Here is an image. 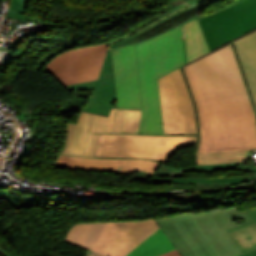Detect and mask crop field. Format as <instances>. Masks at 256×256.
Instances as JSON below:
<instances>
[{"instance_id": "obj_10", "label": "crop field", "mask_w": 256, "mask_h": 256, "mask_svg": "<svg viewBox=\"0 0 256 256\" xmlns=\"http://www.w3.org/2000/svg\"><path fill=\"white\" fill-rule=\"evenodd\" d=\"M65 88L68 91L94 89L88 104L82 110L108 116L111 107L117 108L111 50L106 54L98 80Z\"/></svg>"}, {"instance_id": "obj_16", "label": "crop field", "mask_w": 256, "mask_h": 256, "mask_svg": "<svg viewBox=\"0 0 256 256\" xmlns=\"http://www.w3.org/2000/svg\"><path fill=\"white\" fill-rule=\"evenodd\" d=\"M105 223H77L72 226L64 241L91 249Z\"/></svg>"}, {"instance_id": "obj_26", "label": "crop field", "mask_w": 256, "mask_h": 256, "mask_svg": "<svg viewBox=\"0 0 256 256\" xmlns=\"http://www.w3.org/2000/svg\"><path fill=\"white\" fill-rule=\"evenodd\" d=\"M161 256H181V255L177 252V250H175V251L168 252Z\"/></svg>"}, {"instance_id": "obj_1", "label": "crop field", "mask_w": 256, "mask_h": 256, "mask_svg": "<svg viewBox=\"0 0 256 256\" xmlns=\"http://www.w3.org/2000/svg\"><path fill=\"white\" fill-rule=\"evenodd\" d=\"M182 69L196 107L197 153L256 149V113L231 42Z\"/></svg>"}, {"instance_id": "obj_19", "label": "crop field", "mask_w": 256, "mask_h": 256, "mask_svg": "<svg viewBox=\"0 0 256 256\" xmlns=\"http://www.w3.org/2000/svg\"><path fill=\"white\" fill-rule=\"evenodd\" d=\"M202 1H205V0H175V1L171 2L168 6H166V7L163 8V12H164L165 14H160V15H158V16H152V17H150L149 19L145 20L142 25H140L139 27H137L135 31H138V30H140V29H142V28H144V27L150 25L151 23H153V22H155V21H157V20H159V19L164 18L165 16H167L168 14H170V13H172V12H175V11H177V10H180V9H182V8H185V7H187V6H190V5H192V4L200 3V2H202ZM135 31H134V32H135ZM131 33H133V32H130V33L126 34V35H129V34H131ZM116 40H117V39H116ZM113 41H114V40H113ZM111 42H112V41H110L109 44H110Z\"/></svg>"}, {"instance_id": "obj_22", "label": "crop field", "mask_w": 256, "mask_h": 256, "mask_svg": "<svg viewBox=\"0 0 256 256\" xmlns=\"http://www.w3.org/2000/svg\"><path fill=\"white\" fill-rule=\"evenodd\" d=\"M26 3L27 0H10L6 17L25 20Z\"/></svg>"}, {"instance_id": "obj_21", "label": "crop field", "mask_w": 256, "mask_h": 256, "mask_svg": "<svg viewBox=\"0 0 256 256\" xmlns=\"http://www.w3.org/2000/svg\"><path fill=\"white\" fill-rule=\"evenodd\" d=\"M142 110L126 109L123 133L138 134Z\"/></svg>"}, {"instance_id": "obj_15", "label": "crop field", "mask_w": 256, "mask_h": 256, "mask_svg": "<svg viewBox=\"0 0 256 256\" xmlns=\"http://www.w3.org/2000/svg\"><path fill=\"white\" fill-rule=\"evenodd\" d=\"M174 249L169 238L159 227L127 256H158Z\"/></svg>"}, {"instance_id": "obj_4", "label": "crop field", "mask_w": 256, "mask_h": 256, "mask_svg": "<svg viewBox=\"0 0 256 256\" xmlns=\"http://www.w3.org/2000/svg\"><path fill=\"white\" fill-rule=\"evenodd\" d=\"M197 136H145L101 134L95 157L151 158L166 164L183 147L195 145Z\"/></svg>"}, {"instance_id": "obj_28", "label": "crop field", "mask_w": 256, "mask_h": 256, "mask_svg": "<svg viewBox=\"0 0 256 256\" xmlns=\"http://www.w3.org/2000/svg\"><path fill=\"white\" fill-rule=\"evenodd\" d=\"M253 191H256V189L255 190H251V191H247V192H242V193H248V192H253ZM242 193H237V194H242ZM237 194H235V195H237Z\"/></svg>"}, {"instance_id": "obj_27", "label": "crop field", "mask_w": 256, "mask_h": 256, "mask_svg": "<svg viewBox=\"0 0 256 256\" xmlns=\"http://www.w3.org/2000/svg\"><path fill=\"white\" fill-rule=\"evenodd\" d=\"M240 256H256V249L245 254H242Z\"/></svg>"}, {"instance_id": "obj_24", "label": "crop field", "mask_w": 256, "mask_h": 256, "mask_svg": "<svg viewBox=\"0 0 256 256\" xmlns=\"http://www.w3.org/2000/svg\"><path fill=\"white\" fill-rule=\"evenodd\" d=\"M100 134H91L90 141H89V146H88V151H87V157H94L97 144H98V139H99Z\"/></svg>"}, {"instance_id": "obj_13", "label": "crop field", "mask_w": 256, "mask_h": 256, "mask_svg": "<svg viewBox=\"0 0 256 256\" xmlns=\"http://www.w3.org/2000/svg\"><path fill=\"white\" fill-rule=\"evenodd\" d=\"M220 170H241L249 171L252 173L250 177H219V178H205V177H193V178H159L160 175L168 176H180L185 175L187 171L193 172H208L212 173ZM253 178H256V168H243L240 169L238 163H229V164H219V165H196L189 168H173L161 164L159 170L154 174L153 180L158 181H172V182H181V183H193V184H236L241 182H247Z\"/></svg>"}, {"instance_id": "obj_7", "label": "crop field", "mask_w": 256, "mask_h": 256, "mask_svg": "<svg viewBox=\"0 0 256 256\" xmlns=\"http://www.w3.org/2000/svg\"><path fill=\"white\" fill-rule=\"evenodd\" d=\"M108 42L62 52L51 59L44 72L63 86L98 79Z\"/></svg>"}, {"instance_id": "obj_17", "label": "crop field", "mask_w": 256, "mask_h": 256, "mask_svg": "<svg viewBox=\"0 0 256 256\" xmlns=\"http://www.w3.org/2000/svg\"><path fill=\"white\" fill-rule=\"evenodd\" d=\"M243 253L256 248V224L250 223L228 230Z\"/></svg>"}, {"instance_id": "obj_20", "label": "crop field", "mask_w": 256, "mask_h": 256, "mask_svg": "<svg viewBox=\"0 0 256 256\" xmlns=\"http://www.w3.org/2000/svg\"><path fill=\"white\" fill-rule=\"evenodd\" d=\"M205 5H206V3L198 4V5H195V6L186 8V9H184V10H181V11H179V12H177V13H174V14H172V15H170V16H168V17H166V18H164V19H162V20H160V21H158V22H156V23H154V24L148 26L147 28H145L144 30H142V31H140V32H138V33H135V34L130 35V36L124 38V39H121V40H118V41L113 42L112 45H111V47H110V49H112V48H114V47L122 46V45H127V44H132V43H136V42L143 41V40H145L144 38H136V35L142 33L143 31H145V30H147V29H149V28H151V27H153V26H155V25H157V24H159V23H161V22H163V21H165V20H167V19H169V18H171V17H173V16H175V15H177V14L183 12V11L192 9V8H194V7H196L197 10H198V12L195 14V15H197L201 10H203V9L205 8ZM195 15H194V16H195ZM194 16H192V17H194ZM192 17L188 18L186 21L190 20ZM186 21H184V22H186ZM184 22H183V23H184ZM181 24H182V23H181ZM177 25H180V24H176V25H174V27L177 26ZM171 28H173V27H170L169 29H171ZM169 29H167V30H169ZM167 30H165V31H167ZM165 31H164V32H165ZM162 33H163V32H162Z\"/></svg>"}, {"instance_id": "obj_2", "label": "crop field", "mask_w": 256, "mask_h": 256, "mask_svg": "<svg viewBox=\"0 0 256 256\" xmlns=\"http://www.w3.org/2000/svg\"><path fill=\"white\" fill-rule=\"evenodd\" d=\"M143 114L139 134H164L157 78L209 52L197 16L136 43Z\"/></svg>"}, {"instance_id": "obj_3", "label": "crop field", "mask_w": 256, "mask_h": 256, "mask_svg": "<svg viewBox=\"0 0 256 256\" xmlns=\"http://www.w3.org/2000/svg\"><path fill=\"white\" fill-rule=\"evenodd\" d=\"M238 219L245 223L235 224ZM155 220L182 256L240 255L242 251L226 230L253 222L245 211L238 212L236 207Z\"/></svg>"}, {"instance_id": "obj_5", "label": "crop field", "mask_w": 256, "mask_h": 256, "mask_svg": "<svg viewBox=\"0 0 256 256\" xmlns=\"http://www.w3.org/2000/svg\"><path fill=\"white\" fill-rule=\"evenodd\" d=\"M158 82L165 134H198L195 107L181 67Z\"/></svg>"}, {"instance_id": "obj_12", "label": "crop field", "mask_w": 256, "mask_h": 256, "mask_svg": "<svg viewBox=\"0 0 256 256\" xmlns=\"http://www.w3.org/2000/svg\"><path fill=\"white\" fill-rule=\"evenodd\" d=\"M158 165L159 163L152 160L92 159L59 155L54 167H69L96 171H116L122 173L141 171L138 177L149 178L156 171Z\"/></svg>"}, {"instance_id": "obj_9", "label": "crop field", "mask_w": 256, "mask_h": 256, "mask_svg": "<svg viewBox=\"0 0 256 256\" xmlns=\"http://www.w3.org/2000/svg\"><path fill=\"white\" fill-rule=\"evenodd\" d=\"M112 51L118 108L142 109L134 44Z\"/></svg>"}, {"instance_id": "obj_8", "label": "crop field", "mask_w": 256, "mask_h": 256, "mask_svg": "<svg viewBox=\"0 0 256 256\" xmlns=\"http://www.w3.org/2000/svg\"><path fill=\"white\" fill-rule=\"evenodd\" d=\"M158 227L154 218L107 222L92 249L110 256H125Z\"/></svg>"}, {"instance_id": "obj_18", "label": "crop field", "mask_w": 256, "mask_h": 256, "mask_svg": "<svg viewBox=\"0 0 256 256\" xmlns=\"http://www.w3.org/2000/svg\"><path fill=\"white\" fill-rule=\"evenodd\" d=\"M248 151L196 154L198 164L247 161Z\"/></svg>"}, {"instance_id": "obj_23", "label": "crop field", "mask_w": 256, "mask_h": 256, "mask_svg": "<svg viewBox=\"0 0 256 256\" xmlns=\"http://www.w3.org/2000/svg\"><path fill=\"white\" fill-rule=\"evenodd\" d=\"M125 109H115L111 133H122Z\"/></svg>"}, {"instance_id": "obj_11", "label": "crop field", "mask_w": 256, "mask_h": 256, "mask_svg": "<svg viewBox=\"0 0 256 256\" xmlns=\"http://www.w3.org/2000/svg\"><path fill=\"white\" fill-rule=\"evenodd\" d=\"M113 111L109 117L81 111L76 124L66 122L67 141L61 154L85 156L91 132L110 133Z\"/></svg>"}, {"instance_id": "obj_6", "label": "crop field", "mask_w": 256, "mask_h": 256, "mask_svg": "<svg viewBox=\"0 0 256 256\" xmlns=\"http://www.w3.org/2000/svg\"><path fill=\"white\" fill-rule=\"evenodd\" d=\"M198 19L211 51L256 27V0H235Z\"/></svg>"}, {"instance_id": "obj_14", "label": "crop field", "mask_w": 256, "mask_h": 256, "mask_svg": "<svg viewBox=\"0 0 256 256\" xmlns=\"http://www.w3.org/2000/svg\"><path fill=\"white\" fill-rule=\"evenodd\" d=\"M256 109V29L232 41Z\"/></svg>"}, {"instance_id": "obj_25", "label": "crop field", "mask_w": 256, "mask_h": 256, "mask_svg": "<svg viewBox=\"0 0 256 256\" xmlns=\"http://www.w3.org/2000/svg\"><path fill=\"white\" fill-rule=\"evenodd\" d=\"M247 214L256 222V208L246 210Z\"/></svg>"}]
</instances>
